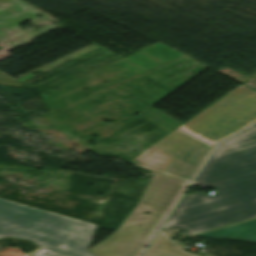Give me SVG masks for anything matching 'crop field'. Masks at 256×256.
I'll list each match as a JSON object with an SVG mask.
<instances>
[{
  "label": "crop field",
  "instance_id": "1",
  "mask_svg": "<svg viewBox=\"0 0 256 256\" xmlns=\"http://www.w3.org/2000/svg\"><path fill=\"white\" fill-rule=\"evenodd\" d=\"M96 225L0 199V238L31 240L39 248L74 256L88 251Z\"/></svg>",
  "mask_w": 256,
  "mask_h": 256
},
{
  "label": "crop field",
  "instance_id": "2",
  "mask_svg": "<svg viewBox=\"0 0 256 256\" xmlns=\"http://www.w3.org/2000/svg\"><path fill=\"white\" fill-rule=\"evenodd\" d=\"M216 188L211 197H183L162 229L180 228L192 236L256 217V176Z\"/></svg>",
  "mask_w": 256,
  "mask_h": 256
},
{
  "label": "crop field",
  "instance_id": "3",
  "mask_svg": "<svg viewBox=\"0 0 256 256\" xmlns=\"http://www.w3.org/2000/svg\"><path fill=\"white\" fill-rule=\"evenodd\" d=\"M255 121L256 92L241 85L179 128L214 144Z\"/></svg>",
  "mask_w": 256,
  "mask_h": 256
},
{
  "label": "crop field",
  "instance_id": "4",
  "mask_svg": "<svg viewBox=\"0 0 256 256\" xmlns=\"http://www.w3.org/2000/svg\"><path fill=\"white\" fill-rule=\"evenodd\" d=\"M256 175V125L218 145L196 177L205 188Z\"/></svg>",
  "mask_w": 256,
  "mask_h": 256
},
{
  "label": "crop field",
  "instance_id": "5",
  "mask_svg": "<svg viewBox=\"0 0 256 256\" xmlns=\"http://www.w3.org/2000/svg\"><path fill=\"white\" fill-rule=\"evenodd\" d=\"M156 146L171 158L153 171L187 182L192 179L195 171L213 147L179 129L171 132Z\"/></svg>",
  "mask_w": 256,
  "mask_h": 256
},
{
  "label": "crop field",
  "instance_id": "6",
  "mask_svg": "<svg viewBox=\"0 0 256 256\" xmlns=\"http://www.w3.org/2000/svg\"><path fill=\"white\" fill-rule=\"evenodd\" d=\"M166 215L167 212L156 209L147 225H121L90 252L96 256H139Z\"/></svg>",
  "mask_w": 256,
  "mask_h": 256
},
{
  "label": "crop field",
  "instance_id": "7",
  "mask_svg": "<svg viewBox=\"0 0 256 256\" xmlns=\"http://www.w3.org/2000/svg\"><path fill=\"white\" fill-rule=\"evenodd\" d=\"M185 186L186 183L156 174L138 206L153 211L158 208L169 212Z\"/></svg>",
  "mask_w": 256,
  "mask_h": 256
},
{
  "label": "crop field",
  "instance_id": "8",
  "mask_svg": "<svg viewBox=\"0 0 256 256\" xmlns=\"http://www.w3.org/2000/svg\"><path fill=\"white\" fill-rule=\"evenodd\" d=\"M192 238L239 239L256 241V218L192 236Z\"/></svg>",
  "mask_w": 256,
  "mask_h": 256
},
{
  "label": "crop field",
  "instance_id": "9",
  "mask_svg": "<svg viewBox=\"0 0 256 256\" xmlns=\"http://www.w3.org/2000/svg\"><path fill=\"white\" fill-rule=\"evenodd\" d=\"M177 231H160L145 256H194L188 252H182L167 246Z\"/></svg>",
  "mask_w": 256,
  "mask_h": 256
},
{
  "label": "crop field",
  "instance_id": "10",
  "mask_svg": "<svg viewBox=\"0 0 256 256\" xmlns=\"http://www.w3.org/2000/svg\"><path fill=\"white\" fill-rule=\"evenodd\" d=\"M169 157L163 155L158 148L153 145L149 149L145 150L139 156L134 158L131 162L138 167L153 170L161 163L166 161Z\"/></svg>",
  "mask_w": 256,
  "mask_h": 256
},
{
  "label": "crop field",
  "instance_id": "11",
  "mask_svg": "<svg viewBox=\"0 0 256 256\" xmlns=\"http://www.w3.org/2000/svg\"><path fill=\"white\" fill-rule=\"evenodd\" d=\"M143 211H148L150 214L145 215L142 213ZM152 214L153 211L136 206V208L132 211V213L128 216L123 224H147Z\"/></svg>",
  "mask_w": 256,
  "mask_h": 256
},
{
  "label": "crop field",
  "instance_id": "12",
  "mask_svg": "<svg viewBox=\"0 0 256 256\" xmlns=\"http://www.w3.org/2000/svg\"><path fill=\"white\" fill-rule=\"evenodd\" d=\"M0 84L7 85V86H18V87H25L18 82L0 74Z\"/></svg>",
  "mask_w": 256,
  "mask_h": 256
},
{
  "label": "crop field",
  "instance_id": "13",
  "mask_svg": "<svg viewBox=\"0 0 256 256\" xmlns=\"http://www.w3.org/2000/svg\"><path fill=\"white\" fill-rule=\"evenodd\" d=\"M29 256H69V255L39 249L38 251L34 252Z\"/></svg>",
  "mask_w": 256,
  "mask_h": 256
},
{
  "label": "crop field",
  "instance_id": "14",
  "mask_svg": "<svg viewBox=\"0 0 256 256\" xmlns=\"http://www.w3.org/2000/svg\"><path fill=\"white\" fill-rule=\"evenodd\" d=\"M169 246H172V247H174V248H177V249H180V250L183 251V249H182V244H181V243H177V242L171 241L170 244H169Z\"/></svg>",
  "mask_w": 256,
  "mask_h": 256
}]
</instances>
